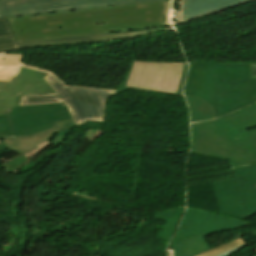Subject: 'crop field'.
<instances>
[{
    "label": "crop field",
    "instance_id": "crop-field-11",
    "mask_svg": "<svg viewBox=\"0 0 256 256\" xmlns=\"http://www.w3.org/2000/svg\"><path fill=\"white\" fill-rule=\"evenodd\" d=\"M142 34H146L144 30L133 31V32H123V33H113V34H101V35H93V36L71 37V38L60 39V40H50V41L17 44V40H16L7 20L0 19V53L16 50V49H19V47L29 46V45L108 40V39H115V38L134 36V35H142Z\"/></svg>",
    "mask_w": 256,
    "mask_h": 256
},
{
    "label": "crop field",
    "instance_id": "crop-field-17",
    "mask_svg": "<svg viewBox=\"0 0 256 256\" xmlns=\"http://www.w3.org/2000/svg\"><path fill=\"white\" fill-rule=\"evenodd\" d=\"M133 63H134V61L131 62V65H130V67H129L128 74H127V76L125 77V79L123 80V82L121 83V85L119 86L117 93H119V92H121V91H123V90L128 89V88H125V86H126V83H127L128 77H129V74H130V72H131ZM187 69H188L187 63H185L184 69H183V73H182V77H181L180 84H179V88H178V92H177L178 95H182V85H183V81H184V77H185V74H186V72H187ZM141 90H145V89H141ZM148 91H152V90H148ZM156 92H159V91H156ZM163 93H166V92H163ZM170 94H173V93H170Z\"/></svg>",
    "mask_w": 256,
    "mask_h": 256
},
{
    "label": "crop field",
    "instance_id": "crop-field-13",
    "mask_svg": "<svg viewBox=\"0 0 256 256\" xmlns=\"http://www.w3.org/2000/svg\"><path fill=\"white\" fill-rule=\"evenodd\" d=\"M65 122L66 120L57 122L52 129L29 135L28 137L2 138V144L7 145L11 151L25 154L37 148L35 145L54 137L63 128Z\"/></svg>",
    "mask_w": 256,
    "mask_h": 256
},
{
    "label": "crop field",
    "instance_id": "crop-field-6",
    "mask_svg": "<svg viewBox=\"0 0 256 256\" xmlns=\"http://www.w3.org/2000/svg\"><path fill=\"white\" fill-rule=\"evenodd\" d=\"M245 222L188 208L178 234L172 241L173 256H195L211 249L205 237Z\"/></svg>",
    "mask_w": 256,
    "mask_h": 256
},
{
    "label": "crop field",
    "instance_id": "crop-field-14",
    "mask_svg": "<svg viewBox=\"0 0 256 256\" xmlns=\"http://www.w3.org/2000/svg\"><path fill=\"white\" fill-rule=\"evenodd\" d=\"M186 98L191 113V122L214 119L213 110L209 104L198 98L188 96Z\"/></svg>",
    "mask_w": 256,
    "mask_h": 256
},
{
    "label": "crop field",
    "instance_id": "crop-field-10",
    "mask_svg": "<svg viewBox=\"0 0 256 256\" xmlns=\"http://www.w3.org/2000/svg\"><path fill=\"white\" fill-rule=\"evenodd\" d=\"M47 73L21 67L10 82H0V113L18 105L19 95L55 93L43 79Z\"/></svg>",
    "mask_w": 256,
    "mask_h": 256
},
{
    "label": "crop field",
    "instance_id": "crop-field-16",
    "mask_svg": "<svg viewBox=\"0 0 256 256\" xmlns=\"http://www.w3.org/2000/svg\"><path fill=\"white\" fill-rule=\"evenodd\" d=\"M243 242L239 238V239L233 240L231 242H228V243H226L224 245H221L219 247H216V248H214V249H212L210 251L204 252V253H202V254H200L198 256H215V255L220 254V253H222V252H224L226 250H229V249H231V248H233L235 246H238V245L242 244Z\"/></svg>",
    "mask_w": 256,
    "mask_h": 256
},
{
    "label": "crop field",
    "instance_id": "crop-field-3",
    "mask_svg": "<svg viewBox=\"0 0 256 256\" xmlns=\"http://www.w3.org/2000/svg\"><path fill=\"white\" fill-rule=\"evenodd\" d=\"M186 95L209 103L215 118L256 102V79L248 63H191Z\"/></svg>",
    "mask_w": 256,
    "mask_h": 256
},
{
    "label": "crop field",
    "instance_id": "crop-field-1",
    "mask_svg": "<svg viewBox=\"0 0 256 256\" xmlns=\"http://www.w3.org/2000/svg\"><path fill=\"white\" fill-rule=\"evenodd\" d=\"M18 43L174 25L175 0L7 19Z\"/></svg>",
    "mask_w": 256,
    "mask_h": 256
},
{
    "label": "crop field",
    "instance_id": "crop-field-8",
    "mask_svg": "<svg viewBox=\"0 0 256 256\" xmlns=\"http://www.w3.org/2000/svg\"><path fill=\"white\" fill-rule=\"evenodd\" d=\"M36 1V3H34ZM166 0H0V18Z\"/></svg>",
    "mask_w": 256,
    "mask_h": 256
},
{
    "label": "crop field",
    "instance_id": "crop-field-19",
    "mask_svg": "<svg viewBox=\"0 0 256 256\" xmlns=\"http://www.w3.org/2000/svg\"><path fill=\"white\" fill-rule=\"evenodd\" d=\"M48 145H50V143H49L48 141H46V142H44V143H42V144H39V145H37L39 148H37V149H35V150H33V151H31V152L25 154L24 156L30 158V157L36 155L37 153H39V152H40L41 150H43L44 148H46Z\"/></svg>",
    "mask_w": 256,
    "mask_h": 256
},
{
    "label": "crop field",
    "instance_id": "crop-field-7",
    "mask_svg": "<svg viewBox=\"0 0 256 256\" xmlns=\"http://www.w3.org/2000/svg\"><path fill=\"white\" fill-rule=\"evenodd\" d=\"M232 170L235 177L213 184L222 214L244 218L256 212V165Z\"/></svg>",
    "mask_w": 256,
    "mask_h": 256
},
{
    "label": "crop field",
    "instance_id": "crop-field-21",
    "mask_svg": "<svg viewBox=\"0 0 256 256\" xmlns=\"http://www.w3.org/2000/svg\"><path fill=\"white\" fill-rule=\"evenodd\" d=\"M147 34H150V33H156V32H162L164 31V27L163 28H158V29H152V30H145ZM123 39V38H122ZM117 40V39H115ZM109 41V40H108ZM98 42V41H96ZM87 43H90V42H87ZM65 44V43H63ZM44 46V45H43ZM29 47H34V46H29ZM24 48V47H23Z\"/></svg>",
    "mask_w": 256,
    "mask_h": 256
},
{
    "label": "crop field",
    "instance_id": "crop-field-15",
    "mask_svg": "<svg viewBox=\"0 0 256 256\" xmlns=\"http://www.w3.org/2000/svg\"><path fill=\"white\" fill-rule=\"evenodd\" d=\"M183 212L177 213V214L173 215L171 218L165 220L166 221L165 226L162 229L161 234L159 236V238L165 244L168 245L170 238L173 236V234L179 224V221H180V218H181Z\"/></svg>",
    "mask_w": 256,
    "mask_h": 256
},
{
    "label": "crop field",
    "instance_id": "crop-field-20",
    "mask_svg": "<svg viewBox=\"0 0 256 256\" xmlns=\"http://www.w3.org/2000/svg\"><path fill=\"white\" fill-rule=\"evenodd\" d=\"M250 78H256V63H249Z\"/></svg>",
    "mask_w": 256,
    "mask_h": 256
},
{
    "label": "crop field",
    "instance_id": "crop-field-5",
    "mask_svg": "<svg viewBox=\"0 0 256 256\" xmlns=\"http://www.w3.org/2000/svg\"><path fill=\"white\" fill-rule=\"evenodd\" d=\"M0 114V137L24 136L50 129L57 121L68 119L50 143L60 145L75 128L64 103L18 106Z\"/></svg>",
    "mask_w": 256,
    "mask_h": 256
},
{
    "label": "crop field",
    "instance_id": "crop-field-9",
    "mask_svg": "<svg viewBox=\"0 0 256 256\" xmlns=\"http://www.w3.org/2000/svg\"><path fill=\"white\" fill-rule=\"evenodd\" d=\"M184 63L135 61L126 87L177 92Z\"/></svg>",
    "mask_w": 256,
    "mask_h": 256
},
{
    "label": "crop field",
    "instance_id": "crop-field-4",
    "mask_svg": "<svg viewBox=\"0 0 256 256\" xmlns=\"http://www.w3.org/2000/svg\"><path fill=\"white\" fill-rule=\"evenodd\" d=\"M22 54L0 55V81H10L20 66L49 73L44 79L57 94L20 96L19 105L64 102L75 124L80 127L85 120L104 121L105 101L116 90L65 86L53 72L21 63Z\"/></svg>",
    "mask_w": 256,
    "mask_h": 256
},
{
    "label": "crop field",
    "instance_id": "crop-field-22",
    "mask_svg": "<svg viewBox=\"0 0 256 256\" xmlns=\"http://www.w3.org/2000/svg\"><path fill=\"white\" fill-rule=\"evenodd\" d=\"M243 246H245V244H242V245H240V246H238V247H236V248H233V249H231V250H229V251H226V252H224V253H222V254H220V255H217V256H227V255H229L230 253L234 252L235 250H237V249H239V248H241V247H243Z\"/></svg>",
    "mask_w": 256,
    "mask_h": 256
},
{
    "label": "crop field",
    "instance_id": "crop-field-12",
    "mask_svg": "<svg viewBox=\"0 0 256 256\" xmlns=\"http://www.w3.org/2000/svg\"><path fill=\"white\" fill-rule=\"evenodd\" d=\"M254 0H179L178 24Z\"/></svg>",
    "mask_w": 256,
    "mask_h": 256
},
{
    "label": "crop field",
    "instance_id": "crop-field-2",
    "mask_svg": "<svg viewBox=\"0 0 256 256\" xmlns=\"http://www.w3.org/2000/svg\"><path fill=\"white\" fill-rule=\"evenodd\" d=\"M256 104L220 118L191 124V153L229 160L232 167L256 163Z\"/></svg>",
    "mask_w": 256,
    "mask_h": 256
},
{
    "label": "crop field",
    "instance_id": "crop-field-18",
    "mask_svg": "<svg viewBox=\"0 0 256 256\" xmlns=\"http://www.w3.org/2000/svg\"><path fill=\"white\" fill-rule=\"evenodd\" d=\"M185 208L182 207V208H179V209H176V210H173V211H169V212H164V213H160V214H155V218L157 220H162V219H166V218H169L171 217L174 213L176 212H179V211H182L184 210Z\"/></svg>",
    "mask_w": 256,
    "mask_h": 256
}]
</instances>
